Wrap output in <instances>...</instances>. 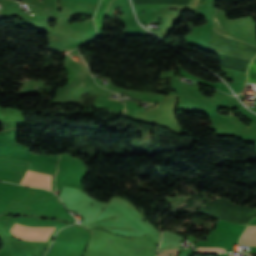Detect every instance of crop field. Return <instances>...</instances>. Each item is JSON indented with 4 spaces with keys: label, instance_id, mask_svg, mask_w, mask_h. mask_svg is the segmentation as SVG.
<instances>
[{
    "label": "crop field",
    "instance_id": "8a807250",
    "mask_svg": "<svg viewBox=\"0 0 256 256\" xmlns=\"http://www.w3.org/2000/svg\"><path fill=\"white\" fill-rule=\"evenodd\" d=\"M54 229L55 227H27L16 223L11 228V232L17 238L32 241H46Z\"/></svg>",
    "mask_w": 256,
    "mask_h": 256
},
{
    "label": "crop field",
    "instance_id": "ac0d7876",
    "mask_svg": "<svg viewBox=\"0 0 256 256\" xmlns=\"http://www.w3.org/2000/svg\"><path fill=\"white\" fill-rule=\"evenodd\" d=\"M239 244L256 247V225H248L246 231L240 238Z\"/></svg>",
    "mask_w": 256,
    "mask_h": 256
},
{
    "label": "crop field",
    "instance_id": "34b2d1b8",
    "mask_svg": "<svg viewBox=\"0 0 256 256\" xmlns=\"http://www.w3.org/2000/svg\"><path fill=\"white\" fill-rule=\"evenodd\" d=\"M114 0H102L97 11H96V15L95 18H101V17H106V14L109 10L110 4L113 2Z\"/></svg>",
    "mask_w": 256,
    "mask_h": 256
},
{
    "label": "crop field",
    "instance_id": "412701ff",
    "mask_svg": "<svg viewBox=\"0 0 256 256\" xmlns=\"http://www.w3.org/2000/svg\"><path fill=\"white\" fill-rule=\"evenodd\" d=\"M224 250L225 249L216 248V247H197L198 253H221V252H224Z\"/></svg>",
    "mask_w": 256,
    "mask_h": 256
},
{
    "label": "crop field",
    "instance_id": "f4fd0767",
    "mask_svg": "<svg viewBox=\"0 0 256 256\" xmlns=\"http://www.w3.org/2000/svg\"><path fill=\"white\" fill-rule=\"evenodd\" d=\"M179 249L159 251L158 256H177Z\"/></svg>",
    "mask_w": 256,
    "mask_h": 256
},
{
    "label": "crop field",
    "instance_id": "dd49c442",
    "mask_svg": "<svg viewBox=\"0 0 256 256\" xmlns=\"http://www.w3.org/2000/svg\"><path fill=\"white\" fill-rule=\"evenodd\" d=\"M96 27H101L102 25V18L101 19H95Z\"/></svg>",
    "mask_w": 256,
    "mask_h": 256
},
{
    "label": "crop field",
    "instance_id": "e52e79f7",
    "mask_svg": "<svg viewBox=\"0 0 256 256\" xmlns=\"http://www.w3.org/2000/svg\"><path fill=\"white\" fill-rule=\"evenodd\" d=\"M252 64L256 65V58L254 59V61L252 62Z\"/></svg>",
    "mask_w": 256,
    "mask_h": 256
},
{
    "label": "crop field",
    "instance_id": "d8731c3e",
    "mask_svg": "<svg viewBox=\"0 0 256 256\" xmlns=\"http://www.w3.org/2000/svg\"><path fill=\"white\" fill-rule=\"evenodd\" d=\"M88 1L97 2V0H88Z\"/></svg>",
    "mask_w": 256,
    "mask_h": 256
}]
</instances>
